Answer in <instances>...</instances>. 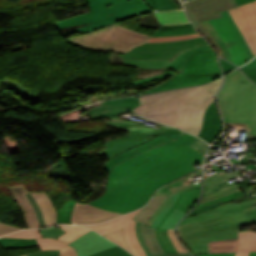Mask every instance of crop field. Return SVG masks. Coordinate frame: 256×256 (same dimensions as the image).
Here are the masks:
<instances>
[{
	"label": "crop field",
	"instance_id": "crop-field-43",
	"mask_svg": "<svg viewBox=\"0 0 256 256\" xmlns=\"http://www.w3.org/2000/svg\"><path fill=\"white\" fill-rule=\"evenodd\" d=\"M179 193L174 194L172 199L169 201L167 206L164 208V210L161 212V214L158 216V218L155 220V222L152 224V227L156 228L158 223L161 221V219L164 217V215L167 213V211L171 208V206L175 203Z\"/></svg>",
	"mask_w": 256,
	"mask_h": 256
},
{
	"label": "crop field",
	"instance_id": "crop-field-52",
	"mask_svg": "<svg viewBox=\"0 0 256 256\" xmlns=\"http://www.w3.org/2000/svg\"><path fill=\"white\" fill-rule=\"evenodd\" d=\"M136 232H137V237H138V241L140 242V244L142 245L144 251L147 253V255H151L146 244L144 243L141 233H140V223L136 221Z\"/></svg>",
	"mask_w": 256,
	"mask_h": 256
},
{
	"label": "crop field",
	"instance_id": "crop-field-19",
	"mask_svg": "<svg viewBox=\"0 0 256 256\" xmlns=\"http://www.w3.org/2000/svg\"><path fill=\"white\" fill-rule=\"evenodd\" d=\"M69 244L75 247L79 256H88L101 250L116 246L92 230Z\"/></svg>",
	"mask_w": 256,
	"mask_h": 256
},
{
	"label": "crop field",
	"instance_id": "crop-field-18",
	"mask_svg": "<svg viewBox=\"0 0 256 256\" xmlns=\"http://www.w3.org/2000/svg\"><path fill=\"white\" fill-rule=\"evenodd\" d=\"M120 215L122 214L102 211L88 204L76 203L73 209L71 222L82 224H95Z\"/></svg>",
	"mask_w": 256,
	"mask_h": 256
},
{
	"label": "crop field",
	"instance_id": "crop-field-13",
	"mask_svg": "<svg viewBox=\"0 0 256 256\" xmlns=\"http://www.w3.org/2000/svg\"><path fill=\"white\" fill-rule=\"evenodd\" d=\"M140 209L103 224L83 226L93 228L95 231L101 233L102 235L114 230L124 228L125 238L131 250L136 256H145L146 254L136 238L135 221L131 220Z\"/></svg>",
	"mask_w": 256,
	"mask_h": 256
},
{
	"label": "crop field",
	"instance_id": "crop-field-16",
	"mask_svg": "<svg viewBox=\"0 0 256 256\" xmlns=\"http://www.w3.org/2000/svg\"><path fill=\"white\" fill-rule=\"evenodd\" d=\"M199 193H200V188L193 191L181 193L176 203L173 205V207L169 210V212L166 214V216L162 219V221L159 223L158 227L156 228L157 237L165 253L177 252V250L175 249V247L173 246V244L171 243L168 237L167 229H160L159 228L160 225L175 208L184 212H186L189 208H191L194 205V203L197 201Z\"/></svg>",
	"mask_w": 256,
	"mask_h": 256
},
{
	"label": "crop field",
	"instance_id": "crop-field-50",
	"mask_svg": "<svg viewBox=\"0 0 256 256\" xmlns=\"http://www.w3.org/2000/svg\"><path fill=\"white\" fill-rule=\"evenodd\" d=\"M59 250H45V251H39L32 254H28L26 256H58Z\"/></svg>",
	"mask_w": 256,
	"mask_h": 256
},
{
	"label": "crop field",
	"instance_id": "crop-field-37",
	"mask_svg": "<svg viewBox=\"0 0 256 256\" xmlns=\"http://www.w3.org/2000/svg\"><path fill=\"white\" fill-rule=\"evenodd\" d=\"M192 209V208H191ZM190 209V210H191ZM188 210L187 212H189ZM186 212V213H187ZM186 213L180 212L178 210H174L167 219L163 222L160 228H174L175 224L179 219H181Z\"/></svg>",
	"mask_w": 256,
	"mask_h": 256
},
{
	"label": "crop field",
	"instance_id": "crop-field-63",
	"mask_svg": "<svg viewBox=\"0 0 256 256\" xmlns=\"http://www.w3.org/2000/svg\"><path fill=\"white\" fill-rule=\"evenodd\" d=\"M240 161H242V162H246V163H248L249 161H254V162H256V160L255 159H248V158H242Z\"/></svg>",
	"mask_w": 256,
	"mask_h": 256
},
{
	"label": "crop field",
	"instance_id": "crop-field-24",
	"mask_svg": "<svg viewBox=\"0 0 256 256\" xmlns=\"http://www.w3.org/2000/svg\"><path fill=\"white\" fill-rule=\"evenodd\" d=\"M249 251H256V233L238 232V250L236 256H248Z\"/></svg>",
	"mask_w": 256,
	"mask_h": 256
},
{
	"label": "crop field",
	"instance_id": "crop-field-31",
	"mask_svg": "<svg viewBox=\"0 0 256 256\" xmlns=\"http://www.w3.org/2000/svg\"><path fill=\"white\" fill-rule=\"evenodd\" d=\"M55 227L62 228L66 233L57 239L64 241L66 243L78 238L85 232L89 231V229L73 226V225H56Z\"/></svg>",
	"mask_w": 256,
	"mask_h": 256
},
{
	"label": "crop field",
	"instance_id": "crop-field-21",
	"mask_svg": "<svg viewBox=\"0 0 256 256\" xmlns=\"http://www.w3.org/2000/svg\"><path fill=\"white\" fill-rule=\"evenodd\" d=\"M222 130V122L213 101L207 108L204 115V122L199 137L205 139L210 144L216 139Z\"/></svg>",
	"mask_w": 256,
	"mask_h": 256
},
{
	"label": "crop field",
	"instance_id": "crop-field-28",
	"mask_svg": "<svg viewBox=\"0 0 256 256\" xmlns=\"http://www.w3.org/2000/svg\"><path fill=\"white\" fill-rule=\"evenodd\" d=\"M208 245L209 253L236 252L237 239L211 241Z\"/></svg>",
	"mask_w": 256,
	"mask_h": 256
},
{
	"label": "crop field",
	"instance_id": "crop-field-54",
	"mask_svg": "<svg viewBox=\"0 0 256 256\" xmlns=\"http://www.w3.org/2000/svg\"><path fill=\"white\" fill-rule=\"evenodd\" d=\"M60 256H77V255L74 248L68 245L60 250Z\"/></svg>",
	"mask_w": 256,
	"mask_h": 256
},
{
	"label": "crop field",
	"instance_id": "crop-field-4",
	"mask_svg": "<svg viewBox=\"0 0 256 256\" xmlns=\"http://www.w3.org/2000/svg\"><path fill=\"white\" fill-rule=\"evenodd\" d=\"M241 223H256V206L232 215L178 227V233L193 254L208 253L207 241L237 238Z\"/></svg>",
	"mask_w": 256,
	"mask_h": 256
},
{
	"label": "crop field",
	"instance_id": "crop-field-9",
	"mask_svg": "<svg viewBox=\"0 0 256 256\" xmlns=\"http://www.w3.org/2000/svg\"><path fill=\"white\" fill-rule=\"evenodd\" d=\"M240 175V171L225 173L224 171L204 179V194L199 206L194 210L220 201L221 203L232 201L245 195L239 190L237 181L229 184L227 180ZM209 187V188H207Z\"/></svg>",
	"mask_w": 256,
	"mask_h": 256
},
{
	"label": "crop field",
	"instance_id": "crop-field-61",
	"mask_svg": "<svg viewBox=\"0 0 256 256\" xmlns=\"http://www.w3.org/2000/svg\"><path fill=\"white\" fill-rule=\"evenodd\" d=\"M154 256H190L186 253H173V254H160V255H154Z\"/></svg>",
	"mask_w": 256,
	"mask_h": 256
},
{
	"label": "crop field",
	"instance_id": "crop-field-15",
	"mask_svg": "<svg viewBox=\"0 0 256 256\" xmlns=\"http://www.w3.org/2000/svg\"><path fill=\"white\" fill-rule=\"evenodd\" d=\"M236 24L243 33L246 42L253 53L256 55V7L254 3L244 4L238 8L228 10Z\"/></svg>",
	"mask_w": 256,
	"mask_h": 256
},
{
	"label": "crop field",
	"instance_id": "crop-field-23",
	"mask_svg": "<svg viewBox=\"0 0 256 256\" xmlns=\"http://www.w3.org/2000/svg\"><path fill=\"white\" fill-rule=\"evenodd\" d=\"M214 50L210 45L187 50L177 56H175L163 69H174L176 74L183 70L188 57L197 52Z\"/></svg>",
	"mask_w": 256,
	"mask_h": 256
},
{
	"label": "crop field",
	"instance_id": "crop-field-46",
	"mask_svg": "<svg viewBox=\"0 0 256 256\" xmlns=\"http://www.w3.org/2000/svg\"><path fill=\"white\" fill-rule=\"evenodd\" d=\"M43 237H54L57 238L58 236H60L61 234L65 233L63 230L59 229V228H50V229H42L40 230Z\"/></svg>",
	"mask_w": 256,
	"mask_h": 256
},
{
	"label": "crop field",
	"instance_id": "crop-field-38",
	"mask_svg": "<svg viewBox=\"0 0 256 256\" xmlns=\"http://www.w3.org/2000/svg\"><path fill=\"white\" fill-rule=\"evenodd\" d=\"M202 24L205 26V28L210 32V34L217 40V42L219 43L220 47L223 50V53L225 55V58L229 61L230 58L232 57L230 52L227 50V48L225 47V45L223 44V42L221 41V37L219 38V34L217 35V31L215 32V30L213 29V27L211 26V24L208 21H204L202 22Z\"/></svg>",
	"mask_w": 256,
	"mask_h": 256
},
{
	"label": "crop field",
	"instance_id": "crop-field-56",
	"mask_svg": "<svg viewBox=\"0 0 256 256\" xmlns=\"http://www.w3.org/2000/svg\"><path fill=\"white\" fill-rule=\"evenodd\" d=\"M221 61V64H222V67L224 69V73H227L229 72L230 70L236 68L234 65H232L231 63L227 62V61H224L222 59H220Z\"/></svg>",
	"mask_w": 256,
	"mask_h": 256
},
{
	"label": "crop field",
	"instance_id": "crop-field-47",
	"mask_svg": "<svg viewBox=\"0 0 256 256\" xmlns=\"http://www.w3.org/2000/svg\"><path fill=\"white\" fill-rule=\"evenodd\" d=\"M226 14H227L229 20L231 21L232 25L234 26L235 30L237 31L239 37L241 38V40H242V42H243V44H244L246 50L248 51V53H249V55H250V57L245 58V60H246V62H247V61H249L250 59H252V58H254V57H253V55L251 54V52H250V50H249V48H248V46H247V44H246V42H245V40H244V38H243V36H242V34H241L239 28H238L237 25L235 24L234 20L232 19V17H231L230 14H229V12L226 11Z\"/></svg>",
	"mask_w": 256,
	"mask_h": 256
},
{
	"label": "crop field",
	"instance_id": "crop-field-71",
	"mask_svg": "<svg viewBox=\"0 0 256 256\" xmlns=\"http://www.w3.org/2000/svg\"><path fill=\"white\" fill-rule=\"evenodd\" d=\"M256 186V185H255Z\"/></svg>",
	"mask_w": 256,
	"mask_h": 256
},
{
	"label": "crop field",
	"instance_id": "crop-field-30",
	"mask_svg": "<svg viewBox=\"0 0 256 256\" xmlns=\"http://www.w3.org/2000/svg\"><path fill=\"white\" fill-rule=\"evenodd\" d=\"M12 79V78H11ZM7 77H5L4 81H0V84H5V89H9V90H13L17 93H19L23 98L27 99V100H31L36 102V100L40 97L37 96L35 94H32L27 88L23 87L22 85H20L19 83L11 80Z\"/></svg>",
	"mask_w": 256,
	"mask_h": 256
},
{
	"label": "crop field",
	"instance_id": "crop-field-68",
	"mask_svg": "<svg viewBox=\"0 0 256 256\" xmlns=\"http://www.w3.org/2000/svg\"><path fill=\"white\" fill-rule=\"evenodd\" d=\"M22 256H25V255H22Z\"/></svg>",
	"mask_w": 256,
	"mask_h": 256
},
{
	"label": "crop field",
	"instance_id": "crop-field-1",
	"mask_svg": "<svg viewBox=\"0 0 256 256\" xmlns=\"http://www.w3.org/2000/svg\"><path fill=\"white\" fill-rule=\"evenodd\" d=\"M195 138L184 132L176 141L119 163L109 173L105 195L89 204L120 213L141 207L156 189L195 170L193 165L203 162L204 155L188 146Z\"/></svg>",
	"mask_w": 256,
	"mask_h": 256
},
{
	"label": "crop field",
	"instance_id": "crop-field-69",
	"mask_svg": "<svg viewBox=\"0 0 256 256\" xmlns=\"http://www.w3.org/2000/svg\"><path fill=\"white\" fill-rule=\"evenodd\" d=\"M255 4H256V1H255Z\"/></svg>",
	"mask_w": 256,
	"mask_h": 256
},
{
	"label": "crop field",
	"instance_id": "crop-field-6",
	"mask_svg": "<svg viewBox=\"0 0 256 256\" xmlns=\"http://www.w3.org/2000/svg\"><path fill=\"white\" fill-rule=\"evenodd\" d=\"M151 36L114 24L86 36L69 38L70 42L95 51H120L126 53L146 43Z\"/></svg>",
	"mask_w": 256,
	"mask_h": 256
},
{
	"label": "crop field",
	"instance_id": "crop-field-59",
	"mask_svg": "<svg viewBox=\"0 0 256 256\" xmlns=\"http://www.w3.org/2000/svg\"><path fill=\"white\" fill-rule=\"evenodd\" d=\"M235 253H227V254H197L195 256H234Z\"/></svg>",
	"mask_w": 256,
	"mask_h": 256
},
{
	"label": "crop field",
	"instance_id": "crop-field-41",
	"mask_svg": "<svg viewBox=\"0 0 256 256\" xmlns=\"http://www.w3.org/2000/svg\"><path fill=\"white\" fill-rule=\"evenodd\" d=\"M4 237L39 238L42 236L39 230H23L20 232L8 234Z\"/></svg>",
	"mask_w": 256,
	"mask_h": 256
},
{
	"label": "crop field",
	"instance_id": "crop-field-70",
	"mask_svg": "<svg viewBox=\"0 0 256 256\" xmlns=\"http://www.w3.org/2000/svg\"><path fill=\"white\" fill-rule=\"evenodd\" d=\"M256 82V81H255Z\"/></svg>",
	"mask_w": 256,
	"mask_h": 256
},
{
	"label": "crop field",
	"instance_id": "crop-field-65",
	"mask_svg": "<svg viewBox=\"0 0 256 256\" xmlns=\"http://www.w3.org/2000/svg\"><path fill=\"white\" fill-rule=\"evenodd\" d=\"M232 163L236 164L238 161L235 160L234 158L230 160Z\"/></svg>",
	"mask_w": 256,
	"mask_h": 256
},
{
	"label": "crop field",
	"instance_id": "crop-field-22",
	"mask_svg": "<svg viewBox=\"0 0 256 256\" xmlns=\"http://www.w3.org/2000/svg\"><path fill=\"white\" fill-rule=\"evenodd\" d=\"M168 61L123 59L118 52H112L108 64H123L140 68H159L161 69Z\"/></svg>",
	"mask_w": 256,
	"mask_h": 256
},
{
	"label": "crop field",
	"instance_id": "crop-field-34",
	"mask_svg": "<svg viewBox=\"0 0 256 256\" xmlns=\"http://www.w3.org/2000/svg\"><path fill=\"white\" fill-rule=\"evenodd\" d=\"M74 204H75V201L71 200L61 206V208L58 211L57 224L67 223V222L70 223L72 208Z\"/></svg>",
	"mask_w": 256,
	"mask_h": 256
},
{
	"label": "crop field",
	"instance_id": "crop-field-3",
	"mask_svg": "<svg viewBox=\"0 0 256 256\" xmlns=\"http://www.w3.org/2000/svg\"><path fill=\"white\" fill-rule=\"evenodd\" d=\"M217 100L225 122L248 123V131L256 134V85L242 72L236 69L226 75Z\"/></svg>",
	"mask_w": 256,
	"mask_h": 256
},
{
	"label": "crop field",
	"instance_id": "crop-field-32",
	"mask_svg": "<svg viewBox=\"0 0 256 256\" xmlns=\"http://www.w3.org/2000/svg\"><path fill=\"white\" fill-rule=\"evenodd\" d=\"M0 245L4 248H23V247L38 246L35 239L27 240V239H8V238H1Z\"/></svg>",
	"mask_w": 256,
	"mask_h": 256
},
{
	"label": "crop field",
	"instance_id": "crop-field-26",
	"mask_svg": "<svg viewBox=\"0 0 256 256\" xmlns=\"http://www.w3.org/2000/svg\"><path fill=\"white\" fill-rule=\"evenodd\" d=\"M141 233L152 255L164 253L159 245L154 228L141 223Z\"/></svg>",
	"mask_w": 256,
	"mask_h": 256
},
{
	"label": "crop field",
	"instance_id": "crop-field-42",
	"mask_svg": "<svg viewBox=\"0 0 256 256\" xmlns=\"http://www.w3.org/2000/svg\"><path fill=\"white\" fill-rule=\"evenodd\" d=\"M200 37L198 33L191 34V35H183V36H173V37H156L151 38L148 42H163V41H172V40H182V39H189Z\"/></svg>",
	"mask_w": 256,
	"mask_h": 256
},
{
	"label": "crop field",
	"instance_id": "crop-field-20",
	"mask_svg": "<svg viewBox=\"0 0 256 256\" xmlns=\"http://www.w3.org/2000/svg\"><path fill=\"white\" fill-rule=\"evenodd\" d=\"M254 205H256L254 199L247 201V202L240 203V204L223 203L222 205H220L216 208H213L209 211H206L204 213L197 214L195 216L183 219L181 221V223L179 224V226L188 224V223H192V222H196V221L207 220V219H211V218H215V217H219V216H223V215H227V214H232L237 211H241V210L250 208Z\"/></svg>",
	"mask_w": 256,
	"mask_h": 256
},
{
	"label": "crop field",
	"instance_id": "crop-field-39",
	"mask_svg": "<svg viewBox=\"0 0 256 256\" xmlns=\"http://www.w3.org/2000/svg\"><path fill=\"white\" fill-rule=\"evenodd\" d=\"M106 238L119 243L120 245H122L124 248H126L128 251H130L132 253V251L129 249V247L127 246L126 242H125V238H124V233H123V229L122 230H118V231H114L111 232L109 234L104 235ZM118 244V245H119ZM133 254V253H132ZM134 255V254H133Z\"/></svg>",
	"mask_w": 256,
	"mask_h": 256
},
{
	"label": "crop field",
	"instance_id": "crop-field-48",
	"mask_svg": "<svg viewBox=\"0 0 256 256\" xmlns=\"http://www.w3.org/2000/svg\"><path fill=\"white\" fill-rule=\"evenodd\" d=\"M189 146L194 148L195 150L199 151L202 154H205V152H206V150L208 148L207 143L202 141V140H200V139H198V138L196 140H194V143L189 145Z\"/></svg>",
	"mask_w": 256,
	"mask_h": 256
},
{
	"label": "crop field",
	"instance_id": "crop-field-17",
	"mask_svg": "<svg viewBox=\"0 0 256 256\" xmlns=\"http://www.w3.org/2000/svg\"><path fill=\"white\" fill-rule=\"evenodd\" d=\"M183 131H180L178 129H169L166 130L163 134L159 135L157 138L153 139L152 141H149L141 146L135 147L133 149H130L116 157H113L111 160H108L105 168L110 171L116 164L123 161L126 158H129L135 154H138L140 152L146 151L148 149L154 148L156 146H159L165 142H168L172 139H177Z\"/></svg>",
	"mask_w": 256,
	"mask_h": 256
},
{
	"label": "crop field",
	"instance_id": "crop-field-57",
	"mask_svg": "<svg viewBox=\"0 0 256 256\" xmlns=\"http://www.w3.org/2000/svg\"><path fill=\"white\" fill-rule=\"evenodd\" d=\"M243 72H245L251 80H256V68L244 70Z\"/></svg>",
	"mask_w": 256,
	"mask_h": 256
},
{
	"label": "crop field",
	"instance_id": "crop-field-45",
	"mask_svg": "<svg viewBox=\"0 0 256 256\" xmlns=\"http://www.w3.org/2000/svg\"><path fill=\"white\" fill-rule=\"evenodd\" d=\"M9 190H10V192H11L13 198L17 201V203H18V205H19V207H20V209H21V211H22V213H23V215H24V218H25V222H26L27 227L30 228V227H29V224H28V220H27L26 214H25V212H24V210H23V208H22L20 202H19V201L17 200V198L14 196L15 193L27 192L26 189L24 188V186H19V187L9 188Z\"/></svg>",
	"mask_w": 256,
	"mask_h": 256
},
{
	"label": "crop field",
	"instance_id": "crop-field-36",
	"mask_svg": "<svg viewBox=\"0 0 256 256\" xmlns=\"http://www.w3.org/2000/svg\"><path fill=\"white\" fill-rule=\"evenodd\" d=\"M41 250L45 249H61L67 244L53 239H36Z\"/></svg>",
	"mask_w": 256,
	"mask_h": 256
},
{
	"label": "crop field",
	"instance_id": "crop-field-27",
	"mask_svg": "<svg viewBox=\"0 0 256 256\" xmlns=\"http://www.w3.org/2000/svg\"><path fill=\"white\" fill-rule=\"evenodd\" d=\"M154 14L155 17L158 19V22H160L161 24H175L188 22V19L183 10L160 12Z\"/></svg>",
	"mask_w": 256,
	"mask_h": 256
},
{
	"label": "crop field",
	"instance_id": "crop-field-33",
	"mask_svg": "<svg viewBox=\"0 0 256 256\" xmlns=\"http://www.w3.org/2000/svg\"><path fill=\"white\" fill-rule=\"evenodd\" d=\"M99 105H113V106H118L122 108H129L132 110L139 105V101H138V98H122V99L103 102Z\"/></svg>",
	"mask_w": 256,
	"mask_h": 256
},
{
	"label": "crop field",
	"instance_id": "crop-field-5",
	"mask_svg": "<svg viewBox=\"0 0 256 256\" xmlns=\"http://www.w3.org/2000/svg\"><path fill=\"white\" fill-rule=\"evenodd\" d=\"M91 12L74 16L69 19L55 23L57 28L84 25L80 29L61 33L63 37L71 33L81 34L100 30L101 28L118 22L119 20L133 15L150 12V9L143 0H87Z\"/></svg>",
	"mask_w": 256,
	"mask_h": 256
},
{
	"label": "crop field",
	"instance_id": "crop-field-53",
	"mask_svg": "<svg viewBox=\"0 0 256 256\" xmlns=\"http://www.w3.org/2000/svg\"><path fill=\"white\" fill-rule=\"evenodd\" d=\"M17 230H21V229L0 223V236L17 231Z\"/></svg>",
	"mask_w": 256,
	"mask_h": 256
},
{
	"label": "crop field",
	"instance_id": "crop-field-44",
	"mask_svg": "<svg viewBox=\"0 0 256 256\" xmlns=\"http://www.w3.org/2000/svg\"><path fill=\"white\" fill-rule=\"evenodd\" d=\"M173 74H174L173 72L168 71V72H165V73H162V74H159V75H155V76H152V77H148V78H145V79L132 81V83H134L135 85H139V84L147 83V82H150V81H153V80L168 77V76H171Z\"/></svg>",
	"mask_w": 256,
	"mask_h": 256
},
{
	"label": "crop field",
	"instance_id": "crop-field-66",
	"mask_svg": "<svg viewBox=\"0 0 256 256\" xmlns=\"http://www.w3.org/2000/svg\"><path fill=\"white\" fill-rule=\"evenodd\" d=\"M249 256H256V252H250Z\"/></svg>",
	"mask_w": 256,
	"mask_h": 256
},
{
	"label": "crop field",
	"instance_id": "crop-field-51",
	"mask_svg": "<svg viewBox=\"0 0 256 256\" xmlns=\"http://www.w3.org/2000/svg\"><path fill=\"white\" fill-rule=\"evenodd\" d=\"M239 185L242 188L240 190L243 193H245L247 191L255 190V187H254L255 184H251L248 179L240 181Z\"/></svg>",
	"mask_w": 256,
	"mask_h": 256
},
{
	"label": "crop field",
	"instance_id": "crop-field-25",
	"mask_svg": "<svg viewBox=\"0 0 256 256\" xmlns=\"http://www.w3.org/2000/svg\"><path fill=\"white\" fill-rule=\"evenodd\" d=\"M166 196H153L150 201L145 205L143 209H141L133 220H137L144 224L152 217L158 207L164 202Z\"/></svg>",
	"mask_w": 256,
	"mask_h": 256
},
{
	"label": "crop field",
	"instance_id": "crop-field-60",
	"mask_svg": "<svg viewBox=\"0 0 256 256\" xmlns=\"http://www.w3.org/2000/svg\"><path fill=\"white\" fill-rule=\"evenodd\" d=\"M251 67H256V58L253 59L250 63H248L247 65L241 67V70L243 69H247V68H251Z\"/></svg>",
	"mask_w": 256,
	"mask_h": 256
},
{
	"label": "crop field",
	"instance_id": "crop-field-55",
	"mask_svg": "<svg viewBox=\"0 0 256 256\" xmlns=\"http://www.w3.org/2000/svg\"><path fill=\"white\" fill-rule=\"evenodd\" d=\"M225 124H227V125H240V126L244 127L245 129H246V126H247V124H239V123H225ZM246 130H247V129H246ZM247 132H248V131H247ZM255 139H256V135H252V134H250V133L248 132L247 135H246L245 141L255 140Z\"/></svg>",
	"mask_w": 256,
	"mask_h": 256
},
{
	"label": "crop field",
	"instance_id": "crop-field-40",
	"mask_svg": "<svg viewBox=\"0 0 256 256\" xmlns=\"http://www.w3.org/2000/svg\"><path fill=\"white\" fill-rule=\"evenodd\" d=\"M90 256H132L126 250L116 246Z\"/></svg>",
	"mask_w": 256,
	"mask_h": 256
},
{
	"label": "crop field",
	"instance_id": "crop-field-7",
	"mask_svg": "<svg viewBox=\"0 0 256 256\" xmlns=\"http://www.w3.org/2000/svg\"><path fill=\"white\" fill-rule=\"evenodd\" d=\"M215 51L197 53L190 56L183 72L158 87L146 91L156 92L188 85L202 84L221 76Z\"/></svg>",
	"mask_w": 256,
	"mask_h": 256
},
{
	"label": "crop field",
	"instance_id": "crop-field-49",
	"mask_svg": "<svg viewBox=\"0 0 256 256\" xmlns=\"http://www.w3.org/2000/svg\"><path fill=\"white\" fill-rule=\"evenodd\" d=\"M168 233H169V237L172 241V243L174 244V246L176 247V249L178 250V252H186L187 251L181 246V244L177 241L176 235L174 233V229H168Z\"/></svg>",
	"mask_w": 256,
	"mask_h": 256
},
{
	"label": "crop field",
	"instance_id": "crop-field-10",
	"mask_svg": "<svg viewBox=\"0 0 256 256\" xmlns=\"http://www.w3.org/2000/svg\"><path fill=\"white\" fill-rule=\"evenodd\" d=\"M193 24L209 39L218 50L219 55L223 53L216 40L209 34L200 21L220 18L219 12L237 7L234 0H194L184 4Z\"/></svg>",
	"mask_w": 256,
	"mask_h": 256
},
{
	"label": "crop field",
	"instance_id": "crop-field-12",
	"mask_svg": "<svg viewBox=\"0 0 256 256\" xmlns=\"http://www.w3.org/2000/svg\"><path fill=\"white\" fill-rule=\"evenodd\" d=\"M16 197L24 207L31 228H38V224L52 226L55 224L56 211L45 193H21Z\"/></svg>",
	"mask_w": 256,
	"mask_h": 256
},
{
	"label": "crop field",
	"instance_id": "crop-field-8",
	"mask_svg": "<svg viewBox=\"0 0 256 256\" xmlns=\"http://www.w3.org/2000/svg\"><path fill=\"white\" fill-rule=\"evenodd\" d=\"M110 118L111 119L106 121V125L127 129L130 131V135L111 140L104 144L106 149L102 152L107 156L108 159H111L113 156H116L130 148L153 139L154 135L157 136L168 128H172L170 126H163L157 130L145 126H140L136 122L118 119L117 116Z\"/></svg>",
	"mask_w": 256,
	"mask_h": 256
},
{
	"label": "crop field",
	"instance_id": "crop-field-67",
	"mask_svg": "<svg viewBox=\"0 0 256 256\" xmlns=\"http://www.w3.org/2000/svg\"><path fill=\"white\" fill-rule=\"evenodd\" d=\"M255 201H256V197H255Z\"/></svg>",
	"mask_w": 256,
	"mask_h": 256
},
{
	"label": "crop field",
	"instance_id": "crop-field-35",
	"mask_svg": "<svg viewBox=\"0 0 256 256\" xmlns=\"http://www.w3.org/2000/svg\"><path fill=\"white\" fill-rule=\"evenodd\" d=\"M155 11L179 9L172 0H146Z\"/></svg>",
	"mask_w": 256,
	"mask_h": 256
},
{
	"label": "crop field",
	"instance_id": "crop-field-11",
	"mask_svg": "<svg viewBox=\"0 0 256 256\" xmlns=\"http://www.w3.org/2000/svg\"><path fill=\"white\" fill-rule=\"evenodd\" d=\"M206 44L208 43L202 37L164 43H146L126 54H120L123 58L167 60L187 49Z\"/></svg>",
	"mask_w": 256,
	"mask_h": 256
},
{
	"label": "crop field",
	"instance_id": "crop-field-58",
	"mask_svg": "<svg viewBox=\"0 0 256 256\" xmlns=\"http://www.w3.org/2000/svg\"><path fill=\"white\" fill-rule=\"evenodd\" d=\"M220 204H221V203H220V202H218V203L213 204V205H210V206H208V207H205V208H202V209L196 210V211L192 212V213H191L190 215H188V216L195 215V214H197V213H200V212L206 211V210L211 209V208H213V207H216V206H218V205H220Z\"/></svg>",
	"mask_w": 256,
	"mask_h": 256
},
{
	"label": "crop field",
	"instance_id": "crop-field-64",
	"mask_svg": "<svg viewBox=\"0 0 256 256\" xmlns=\"http://www.w3.org/2000/svg\"><path fill=\"white\" fill-rule=\"evenodd\" d=\"M255 166H256V165H251V164H249L248 166H246V168L253 170V168H254Z\"/></svg>",
	"mask_w": 256,
	"mask_h": 256
},
{
	"label": "crop field",
	"instance_id": "crop-field-2",
	"mask_svg": "<svg viewBox=\"0 0 256 256\" xmlns=\"http://www.w3.org/2000/svg\"><path fill=\"white\" fill-rule=\"evenodd\" d=\"M221 82L222 77L201 86L139 96L140 105L133 112L198 135L204 111Z\"/></svg>",
	"mask_w": 256,
	"mask_h": 256
},
{
	"label": "crop field",
	"instance_id": "crop-field-29",
	"mask_svg": "<svg viewBox=\"0 0 256 256\" xmlns=\"http://www.w3.org/2000/svg\"><path fill=\"white\" fill-rule=\"evenodd\" d=\"M87 115L92 119H100L103 117L115 116L117 114H122L128 112V110L119 109V108H112V107H105V106H96L90 110H87Z\"/></svg>",
	"mask_w": 256,
	"mask_h": 256
},
{
	"label": "crop field",
	"instance_id": "crop-field-14",
	"mask_svg": "<svg viewBox=\"0 0 256 256\" xmlns=\"http://www.w3.org/2000/svg\"><path fill=\"white\" fill-rule=\"evenodd\" d=\"M221 15L223 18L210 20L209 22L212 24L228 50L231 52L233 56V63H235L237 66H241L245 64L244 57H247L248 54L225 13L222 12Z\"/></svg>",
	"mask_w": 256,
	"mask_h": 256
},
{
	"label": "crop field",
	"instance_id": "crop-field-62",
	"mask_svg": "<svg viewBox=\"0 0 256 256\" xmlns=\"http://www.w3.org/2000/svg\"><path fill=\"white\" fill-rule=\"evenodd\" d=\"M237 5H241V4H244V3H247V2H251V1H255V0H235Z\"/></svg>",
	"mask_w": 256,
	"mask_h": 256
}]
</instances>
